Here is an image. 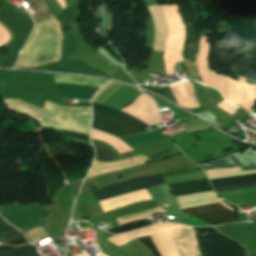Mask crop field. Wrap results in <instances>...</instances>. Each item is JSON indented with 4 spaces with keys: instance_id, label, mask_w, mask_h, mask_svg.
I'll return each instance as SVG.
<instances>
[{
    "instance_id": "1",
    "label": "crop field",
    "mask_w": 256,
    "mask_h": 256,
    "mask_svg": "<svg viewBox=\"0 0 256 256\" xmlns=\"http://www.w3.org/2000/svg\"><path fill=\"white\" fill-rule=\"evenodd\" d=\"M170 190L175 197L184 196L189 194H195L205 191L213 190L208 178L190 180L184 182L170 183L168 184ZM232 212L236 211L226 204H223ZM223 205H212L188 210H182L185 213L193 215L210 225L226 224L230 222H238L237 212L232 213L230 210L225 208Z\"/></svg>"
},
{
    "instance_id": "2",
    "label": "crop field",
    "mask_w": 256,
    "mask_h": 256,
    "mask_svg": "<svg viewBox=\"0 0 256 256\" xmlns=\"http://www.w3.org/2000/svg\"><path fill=\"white\" fill-rule=\"evenodd\" d=\"M93 103V102H92ZM93 110L98 111L100 113L109 115V116H113L116 117L118 119H120L121 121L133 126L134 128H136L137 130L141 131V132H146L143 128L148 127L147 125L143 124L142 122L134 119L133 117L122 113L120 111H117L113 108H109L100 104H96L93 103ZM94 111V116L98 117L100 119L109 121L123 129H125L127 132H129L130 134L133 133H139V131L135 130L133 127L119 121L116 118H112L103 114H100L98 112ZM93 117V122H92V129L94 130H98V131H102V132H106L110 135L116 136V137H120V136H124V135H128L129 133H127L126 131L106 122L103 120H100L98 118Z\"/></svg>"
},
{
    "instance_id": "3",
    "label": "crop field",
    "mask_w": 256,
    "mask_h": 256,
    "mask_svg": "<svg viewBox=\"0 0 256 256\" xmlns=\"http://www.w3.org/2000/svg\"><path fill=\"white\" fill-rule=\"evenodd\" d=\"M194 233L200 253L223 251L242 248L235 241L219 234L213 227L195 228ZM245 250H232L215 253H205L202 256H244Z\"/></svg>"
},
{
    "instance_id": "4",
    "label": "crop field",
    "mask_w": 256,
    "mask_h": 256,
    "mask_svg": "<svg viewBox=\"0 0 256 256\" xmlns=\"http://www.w3.org/2000/svg\"><path fill=\"white\" fill-rule=\"evenodd\" d=\"M164 178L160 175H152L147 177L135 178L119 184L107 186L96 191H92L98 201L104 200L117 195L154 187L165 184Z\"/></svg>"
},
{
    "instance_id": "5",
    "label": "crop field",
    "mask_w": 256,
    "mask_h": 256,
    "mask_svg": "<svg viewBox=\"0 0 256 256\" xmlns=\"http://www.w3.org/2000/svg\"><path fill=\"white\" fill-rule=\"evenodd\" d=\"M255 180H256V175H247V176H239V177L213 179V180H210V182L212 186H216V185L232 184V183L255 181ZM251 187H256V181L240 183V184L216 186L213 188L215 192H219V191H227V190H235V189H243V188H251Z\"/></svg>"
},
{
    "instance_id": "6",
    "label": "crop field",
    "mask_w": 256,
    "mask_h": 256,
    "mask_svg": "<svg viewBox=\"0 0 256 256\" xmlns=\"http://www.w3.org/2000/svg\"><path fill=\"white\" fill-rule=\"evenodd\" d=\"M245 31L246 57L256 60V31L254 29V19L242 18Z\"/></svg>"
},
{
    "instance_id": "7",
    "label": "crop field",
    "mask_w": 256,
    "mask_h": 256,
    "mask_svg": "<svg viewBox=\"0 0 256 256\" xmlns=\"http://www.w3.org/2000/svg\"><path fill=\"white\" fill-rule=\"evenodd\" d=\"M163 130H165V127H162L151 133L135 134L127 137H121L120 139H122L129 146H132L136 144H141L145 142H150L154 140L171 137V136H166L164 134L162 135L160 132H162Z\"/></svg>"
},
{
    "instance_id": "8",
    "label": "crop field",
    "mask_w": 256,
    "mask_h": 256,
    "mask_svg": "<svg viewBox=\"0 0 256 256\" xmlns=\"http://www.w3.org/2000/svg\"><path fill=\"white\" fill-rule=\"evenodd\" d=\"M187 29V40L183 52L184 58L195 62V56L198 52V37L194 35L191 24H185Z\"/></svg>"
},
{
    "instance_id": "9",
    "label": "crop field",
    "mask_w": 256,
    "mask_h": 256,
    "mask_svg": "<svg viewBox=\"0 0 256 256\" xmlns=\"http://www.w3.org/2000/svg\"><path fill=\"white\" fill-rule=\"evenodd\" d=\"M27 2L28 6L36 13L34 14L35 23L53 17L44 0H27Z\"/></svg>"
},
{
    "instance_id": "10",
    "label": "crop field",
    "mask_w": 256,
    "mask_h": 256,
    "mask_svg": "<svg viewBox=\"0 0 256 256\" xmlns=\"http://www.w3.org/2000/svg\"><path fill=\"white\" fill-rule=\"evenodd\" d=\"M229 24L237 35V45H236L235 55L245 56L243 28L241 24V18L229 17Z\"/></svg>"
},
{
    "instance_id": "11",
    "label": "crop field",
    "mask_w": 256,
    "mask_h": 256,
    "mask_svg": "<svg viewBox=\"0 0 256 256\" xmlns=\"http://www.w3.org/2000/svg\"><path fill=\"white\" fill-rule=\"evenodd\" d=\"M203 170L206 169H218V168H230L236 166H242L232 155H229L225 158L200 165Z\"/></svg>"
},
{
    "instance_id": "12",
    "label": "crop field",
    "mask_w": 256,
    "mask_h": 256,
    "mask_svg": "<svg viewBox=\"0 0 256 256\" xmlns=\"http://www.w3.org/2000/svg\"><path fill=\"white\" fill-rule=\"evenodd\" d=\"M36 248L37 247L31 244H27L14 248L2 256H39V254L36 252Z\"/></svg>"
},
{
    "instance_id": "13",
    "label": "crop field",
    "mask_w": 256,
    "mask_h": 256,
    "mask_svg": "<svg viewBox=\"0 0 256 256\" xmlns=\"http://www.w3.org/2000/svg\"><path fill=\"white\" fill-rule=\"evenodd\" d=\"M160 211L159 207L154 208V209H148V210H144V211H140L137 213H132V214H127L125 216H121L116 218L121 224L127 223V222H132V221H136L138 219H144L145 215L150 214L151 212H158ZM149 217V216H148ZM147 218V217H146Z\"/></svg>"
},
{
    "instance_id": "14",
    "label": "crop field",
    "mask_w": 256,
    "mask_h": 256,
    "mask_svg": "<svg viewBox=\"0 0 256 256\" xmlns=\"http://www.w3.org/2000/svg\"><path fill=\"white\" fill-rule=\"evenodd\" d=\"M151 224L152 223L149 220H138L136 222L129 223V224H126V225H123V226H120V227L112 228V229H109L107 231L113 232V233H123V232H126L128 230L141 228V227L148 226V225H151Z\"/></svg>"
},
{
    "instance_id": "15",
    "label": "crop field",
    "mask_w": 256,
    "mask_h": 256,
    "mask_svg": "<svg viewBox=\"0 0 256 256\" xmlns=\"http://www.w3.org/2000/svg\"><path fill=\"white\" fill-rule=\"evenodd\" d=\"M92 144L96 150V158L94 161L110 162L117 158L105 147L97 145L95 143H92Z\"/></svg>"
},
{
    "instance_id": "16",
    "label": "crop field",
    "mask_w": 256,
    "mask_h": 256,
    "mask_svg": "<svg viewBox=\"0 0 256 256\" xmlns=\"http://www.w3.org/2000/svg\"><path fill=\"white\" fill-rule=\"evenodd\" d=\"M138 240L141 241L154 256H160L149 235L140 237Z\"/></svg>"
},
{
    "instance_id": "17",
    "label": "crop field",
    "mask_w": 256,
    "mask_h": 256,
    "mask_svg": "<svg viewBox=\"0 0 256 256\" xmlns=\"http://www.w3.org/2000/svg\"><path fill=\"white\" fill-rule=\"evenodd\" d=\"M142 87H143V88H146V89H149V90H151V91H154V92H156V93H158V94H160V95H163V96H165V97L171 99L172 101H174V102L176 103V101H175V99H174V97H173V95H172V93H171L169 87H165V88L144 87V86H142ZM149 90H148V91H149Z\"/></svg>"
},
{
    "instance_id": "18",
    "label": "crop field",
    "mask_w": 256,
    "mask_h": 256,
    "mask_svg": "<svg viewBox=\"0 0 256 256\" xmlns=\"http://www.w3.org/2000/svg\"><path fill=\"white\" fill-rule=\"evenodd\" d=\"M195 170H200L199 167H197L196 165L190 166V167H186V168H182V169H176V170H172V171H168L165 173H161V175L163 177L166 176H170V175H174V174H180V173H185V172H190V171H195Z\"/></svg>"
},
{
    "instance_id": "19",
    "label": "crop field",
    "mask_w": 256,
    "mask_h": 256,
    "mask_svg": "<svg viewBox=\"0 0 256 256\" xmlns=\"http://www.w3.org/2000/svg\"><path fill=\"white\" fill-rule=\"evenodd\" d=\"M21 235V233L19 231H17L16 229H12L2 235H0V242L4 243L6 241H9L17 236Z\"/></svg>"
},
{
    "instance_id": "20",
    "label": "crop field",
    "mask_w": 256,
    "mask_h": 256,
    "mask_svg": "<svg viewBox=\"0 0 256 256\" xmlns=\"http://www.w3.org/2000/svg\"><path fill=\"white\" fill-rule=\"evenodd\" d=\"M55 131H57L58 133L63 134V135H67V136L79 138V139H82V140L90 141L89 136H87V135H82V134L68 132V131H61V130H55Z\"/></svg>"
},
{
    "instance_id": "21",
    "label": "crop field",
    "mask_w": 256,
    "mask_h": 256,
    "mask_svg": "<svg viewBox=\"0 0 256 256\" xmlns=\"http://www.w3.org/2000/svg\"><path fill=\"white\" fill-rule=\"evenodd\" d=\"M24 243H28L27 240L24 238L23 235L5 243L7 245H21V244H24Z\"/></svg>"
},
{
    "instance_id": "22",
    "label": "crop field",
    "mask_w": 256,
    "mask_h": 256,
    "mask_svg": "<svg viewBox=\"0 0 256 256\" xmlns=\"http://www.w3.org/2000/svg\"><path fill=\"white\" fill-rule=\"evenodd\" d=\"M180 152H181L180 149H178V150L166 153V154H162V155H160V156H158L156 158L151 159L150 161L151 162L157 161V160H160V159H163V158H167V157L173 156V155L178 154Z\"/></svg>"
},
{
    "instance_id": "23",
    "label": "crop field",
    "mask_w": 256,
    "mask_h": 256,
    "mask_svg": "<svg viewBox=\"0 0 256 256\" xmlns=\"http://www.w3.org/2000/svg\"><path fill=\"white\" fill-rule=\"evenodd\" d=\"M11 228L13 227L0 217V234Z\"/></svg>"
},
{
    "instance_id": "24",
    "label": "crop field",
    "mask_w": 256,
    "mask_h": 256,
    "mask_svg": "<svg viewBox=\"0 0 256 256\" xmlns=\"http://www.w3.org/2000/svg\"><path fill=\"white\" fill-rule=\"evenodd\" d=\"M221 157H224V156L222 155V153H220V154H218V155H216V156H213V157H209V158L200 160V161L195 162V163L199 164V163H202V162H206V161L213 160V159H217V158H221Z\"/></svg>"
},
{
    "instance_id": "25",
    "label": "crop field",
    "mask_w": 256,
    "mask_h": 256,
    "mask_svg": "<svg viewBox=\"0 0 256 256\" xmlns=\"http://www.w3.org/2000/svg\"><path fill=\"white\" fill-rule=\"evenodd\" d=\"M12 248H14V247L6 246V245L0 246V255L3 254V253H5V252H7V251H9V250L12 249Z\"/></svg>"
}]
</instances>
